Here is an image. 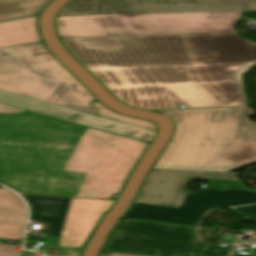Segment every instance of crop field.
Returning <instances> with one entry per match:
<instances>
[{
    "mask_svg": "<svg viewBox=\"0 0 256 256\" xmlns=\"http://www.w3.org/2000/svg\"><path fill=\"white\" fill-rule=\"evenodd\" d=\"M237 34V33H236ZM235 33L61 38L126 105L141 109L247 106L240 75L256 44Z\"/></svg>",
    "mask_w": 256,
    "mask_h": 256,
    "instance_id": "obj_1",
    "label": "crop field"
},
{
    "mask_svg": "<svg viewBox=\"0 0 256 256\" xmlns=\"http://www.w3.org/2000/svg\"><path fill=\"white\" fill-rule=\"evenodd\" d=\"M147 146L33 112L0 115V182L25 193L108 198Z\"/></svg>",
    "mask_w": 256,
    "mask_h": 256,
    "instance_id": "obj_2",
    "label": "crop field"
},
{
    "mask_svg": "<svg viewBox=\"0 0 256 256\" xmlns=\"http://www.w3.org/2000/svg\"><path fill=\"white\" fill-rule=\"evenodd\" d=\"M176 123L155 169L231 171L256 162V122L247 108L159 111Z\"/></svg>",
    "mask_w": 256,
    "mask_h": 256,
    "instance_id": "obj_3",
    "label": "crop field"
},
{
    "mask_svg": "<svg viewBox=\"0 0 256 256\" xmlns=\"http://www.w3.org/2000/svg\"><path fill=\"white\" fill-rule=\"evenodd\" d=\"M193 179L209 180L208 188L182 192ZM250 203H256V192L247 190L236 173L151 171L123 217L196 226L211 209Z\"/></svg>",
    "mask_w": 256,
    "mask_h": 256,
    "instance_id": "obj_4",
    "label": "crop field"
},
{
    "mask_svg": "<svg viewBox=\"0 0 256 256\" xmlns=\"http://www.w3.org/2000/svg\"><path fill=\"white\" fill-rule=\"evenodd\" d=\"M0 90L97 116L95 98L44 43L0 49Z\"/></svg>",
    "mask_w": 256,
    "mask_h": 256,
    "instance_id": "obj_5",
    "label": "crop field"
},
{
    "mask_svg": "<svg viewBox=\"0 0 256 256\" xmlns=\"http://www.w3.org/2000/svg\"><path fill=\"white\" fill-rule=\"evenodd\" d=\"M249 19L256 20V11L67 16L58 17L57 30L63 37L220 33Z\"/></svg>",
    "mask_w": 256,
    "mask_h": 256,
    "instance_id": "obj_6",
    "label": "crop field"
},
{
    "mask_svg": "<svg viewBox=\"0 0 256 256\" xmlns=\"http://www.w3.org/2000/svg\"><path fill=\"white\" fill-rule=\"evenodd\" d=\"M103 249L153 256H227L225 247L196 242L195 229L129 220L119 222Z\"/></svg>",
    "mask_w": 256,
    "mask_h": 256,
    "instance_id": "obj_7",
    "label": "crop field"
},
{
    "mask_svg": "<svg viewBox=\"0 0 256 256\" xmlns=\"http://www.w3.org/2000/svg\"><path fill=\"white\" fill-rule=\"evenodd\" d=\"M31 219L48 224V235L61 236L58 246L82 248L101 215L114 200L25 196Z\"/></svg>",
    "mask_w": 256,
    "mask_h": 256,
    "instance_id": "obj_8",
    "label": "crop field"
},
{
    "mask_svg": "<svg viewBox=\"0 0 256 256\" xmlns=\"http://www.w3.org/2000/svg\"><path fill=\"white\" fill-rule=\"evenodd\" d=\"M256 10V0H72L58 16Z\"/></svg>",
    "mask_w": 256,
    "mask_h": 256,
    "instance_id": "obj_9",
    "label": "crop field"
},
{
    "mask_svg": "<svg viewBox=\"0 0 256 256\" xmlns=\"http://www.w3.org/2000/svg\"><path fill=\"white\" fill-rule=\"evenodd\" d=\"M0 102L150 142L155 132L0 91Z\"/></svg>",
    "mask_w": 256,
    "mask_h": 256,
    "instance_id": "obj_10",
    "label": "crop field"
},
{
    "mask_svg": "<svg viewBox=\"0 0 256 256\" xmlns=\"http://www.w3.org/2000/svg\"><path fill=\"white\" fill-rule=\"evenodd\" d=\"M25 209L18 196L0 189V238L22 240Z\"/></svg>",
    "mask_w": 256,
    "mask_h": 256,
    "instance_id": "obj_11",
    "label": "crop field"
},
{
    "mask_svg": "<svg viewBox=\"0 0 256 256\" xmlns=\"http://www.w3.org/2000/svg\"><path fill=\"white\" fill-rule=\"evenodd\" d=\"M37 16L0 24V48L41 41Z\"/></svg>",
    "mask_w": 256,
    "mask_h": 256,
    "instance_id": "obj_12",
    "label": "crop field"
},
{
    "mask_svg": "<svg viewBox=\"0 0 256 256\" xmlns=\"http://www.w3.org/2000/svg\"><path fill=\"white\" fill-rule=\"evenodd\" d=\"M52 0H0V21L40 13Z\"/></svg>",
    "mask_w": 256,
    "mask_h": 256,
    "instance_id": "obj_13",
    "label": "crop field"
},
{
    "mask_svg": "<svg viewBox=\"0 0 256 256\" xmlns=\"http://www.w3.org/2000/svg\"><path fill=\"white\" fill-rule=\"evenodd\" d=\"M92 104H93V107L99 111V113H100L99 116H101V117L115 120V121L122 122V123H126V124L133 125L136 127L144 128L147 130H151V131H155V132L157 131L155 124L152 122L139 120V119H133V118H129V117L117 114V113L107 109L99 102H94Z\"/></svg>",
    "mask_w": 256,
    "mask_h": 256,
    "instance_id": "obj_14",
    "label": "crop field"
},
{
    "mask_svg": "<svg viewBox=\"0 0 256 256\" xmlns=\"http://www.w3.org/2000/svg\"><path fill=\"white\" fill-rule=\"evenodd\" d=\"M233 210L242 217H252L253 222L256 223V205L234 208Z\"/></svg>",
    "mask_w": 256,
    "mask_h": 256,
    "instance_id": "obj_15",
    "label": "crop field"
},
{
    "mask_svg": "<svg viewBox=\"0 0 256 256\" xmlns=\"http://www.w3.org/2000/svg\"><path fill=\"white\" fill-rule=\"evenodd\" d=\"M14 246L0 245V256H18L19 252L15 251Z\"/></svg>",
    "mask_w": 256,
    "mask_h": 256,
    "instance_id": "obj_16",
    "label": "crop field"
},
{
    "mask_svg": "<svg viewBox=\"0 0 256 256\" xmlns=\"http://www.w3.org/2000/svg\"><path fill=\"white\" fill-rule=\"evenodd\" d=\"M20 111H27V110L0 103V113H12V112H20Z\"/></svg>",
    "mask_w": 256,
    "mask_h": 256,
    "instance_id": "obj_17",
    "label": "crop field"
},
{
    "mask_svg": "<svg viewBox=\"0 0 256 256\" xmlns=\"http://www.w3.org/2000/svg\"><path fill=\"white\" fill-rule=\"evenodd\" d=\"M58 256H80V251L61 250Z\"/></svg>",
    "mask_w": 256,
    "mask_h": 256,
    "instance_id": "obj_18",
    "label": "crop field"
},
{
    "mask_svg": "<svg viewBox=\"0 0 256 256\" xmlns=\"http://www.w3.org/2000/svg\"><path fill=\"white\" fill-rule=\"evenodd\" d=\"M100 256H133V255H125V254L113 253V254H111V255H100Z\"/></svg>",
    "mask_w": 256,
    "mask_h": 256,
    "instance_id": "obj_19",
    "label": "crop field"
},
{
    "mask_svg": "<svg viewBox=\"0 0 256 256\" xmlns=\"http://www.w3.org/2000/svg\"><path fill=\"white\" fill-rule=\"evenodd\" d=\"M231 256H245V255H237V254H233V255H231Z\"/></svg>",
    "mask_w": 256,
    "mask_h": 256,
    "instance_id": "obj_20",
    "label": "crop field"
},
{
    "mask_svg": "<svg viewBox=\"0 0 256 256\" xmlns=\"http://www.w3.org/2000/svg\"><path fill=\"white\" fill-rule=\"evenodd\" d=\"M252 243H256V239H254L253 241H251Z\"/></svg>",
    "mask_w": 256,
    "mask_h": 256,
    "instance_id": "obj_21",
    "label": "crop field"
}]
</instances>
